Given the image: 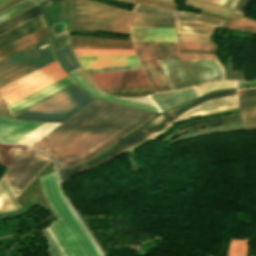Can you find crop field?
Returning <instances> with one entry per match:
<instances>
[{"mask_svg":"<svg viewBox=\"0 0 256 256\" xmlns=\"http://www.w3.org/2000/svg\"><path fill=\"white\" fill-rule=\"evenodd\" d=\"M136 5V4H135ZM134 11L174 16L175 11L137 4Z\"/></svg>","mask_w":256,"mask_h":256,"instance_id":"e1f06a70","label":"crop field"},{"mask_svg":"<svg viewBox=\"0 0 256 256\" xmlns=\"http://www.w3.org/2000/svg\"><path fill=\"white\" fill-rule=\"evenodd\" d=\"M17 0H0V9L15 2Z\"/></svg>","mask_w":256,"mask_h":256,"instance_id":"d23c7cc5","label":"crop field"},{"mask_svg":"<svg viewBox=\"0 0 256 256\" xmlns=\"http://www.w3.org/2000/svg\"><path fill=\"white\" fill-rule=\"evenodd\" d=\"M151 117L97 100L32 146L51 155L61 169L91 158Z\"/></svg>","mask_w":256,"mask_h":256,"instance_id":"8a807250","label":"crop field"},{"mask_svg":"<svg viewBox=\"0 0 256 256\" xmlns=\"http://www.w3.org/2000/svg\"><path fill=\"white\" fill-rule=\"evenodd\" d=\"M202 1H206V2H208V0H202Z\"/></svg>","mask_w":256,"mask_h":256,"instance_id":"9d1cf04e","label":"crop field"},{"mask_svg":"<svg viewBox=\"0 0 256 256\" xmlns=\"http://www.w3.org/2000/svg\"><path fill=\"white\" fill-rule=\"evenodd\" d=\"M176 17L205 21V22H212V23H218V24H222V22H223L222 20H218V19H214V18L202 16V15H197V14L179 12V11H177Z\"/></svg>","mask_w":256,"mask_h":256,"instance_id":"b80d0937","label":"crop field"},{"mask_svg":"<svg viewBox=\"0 0 256 256\" xmlns=\"http://www.w3.org/2000/svg\"><path fill=\"white\" fill-rule=\"evenodd\" d=\"M21 208L12 191L4 180L0 179V213L15 211Z\"/></svg>","mask_w":256,"mask_h":256,"instance_id":"4177f3b9","label":"crop field"},{"mask_svg":"<svg viewBox=\"0 0 256 256\" xmlns=\"http://www.w3.org/2000/svg\"><path fill=\"white\" fill-rule=\"evenodd\" d=\"M142 69L140 65L135 66H123V67H112V68H101V69H89L85 70L87 73H94V72H108V71H122V70H136Z\"/></svg>","mask_w":256,"mask_h":256,"instance_id":"c035e120","label":"crop field"},{"mask_svg":"<svg viewBox=\"0 0 256 256\" xmlns=\"http://www.w3.org/2000/svg\"><path fill=\"white\" fill-rule=\"evenodd\" d=\"M238 1H239V0H236V1L234 2V4L231 6L232 9H234V7H235L236 4L238 3Z\"/></svg>","mask_w":256,"mask_h":256,"instance_id":"dbb93151","label":"crop field"},{"mask_svg":"<svg viewBox=\"0 0 256 256\" xmlns=\"http://www.w3.org/2000/svg\"><path fill=\"white\" fill-rule=\"evenodd\" d=\"M174 17L133 12L129 25L174 27Z\"/></svg>","mask_w":256,"mask_h":256,"instance_id":"dafd665d","label":"crop field"},{"mask_svg":"<svg viewBox=\"0 0 256 256\" xmlns=\"http://www.w3.org/2000/svg\"><path fill=\"white\" fill-rule=\"evenodd\" d=\"M56 51H57L58 57H59L62 65L64 66L66 71L69 72V71L79 67L72 52L69 49V45L61 47V48L57 49Z\"/></svg>","mask_w":256,"mask_h":256,"instance_id":"750c4746","label":"crop field"},{"mask_svg":"<svg viewBox=\"0 0 256 256\" xmlns=\"http://www.w3.org/2000/svg\"><path fill=\"white\" fill-rule=\"evenodd\" d=\"M46 27H43L3 48L0 49V59L48 36Z\"/></svg>","mask_w":256,"mask_h":256,"instance_id":"a9b5d70f","label":"crop field"},{"mask_svg":"<svg viewBox=\"0 0 256 256\" xmlns=\"http://www.w3.org/2000/svg\"><path fill=\"white\" fill-rule=\"evenodd\" d=\"M231 119H235V120L226 121V122H219V121H225V120H231ZM213 122H219V123L208 124V123H213ZM232 122H241V116H240V117L226 118V119H220V120H214V121H208V122H203V123L194 124V125L188 126V127H186V128H183V129H181V130H179V131L173 133L172 135H175V134H177V133H179V132H181V131H183V130H185V129L192 128V127L199 126V125H203V124H208V125H204V126H201V127H198V128H194V129H191V130H189V131L196 130V129H199V128H204V127H209V126H215V125H221V124H226V123H232ZM189 131H186V132H189ZM186 132H183V133H186ZM183 133H181V134H183ZM172 135H171V136H172ZM178 135H180V134H178ZM178 135H176V136H178ZM171 136H170V137H171ZM176 136H173V137H171V138L168 137V138H166V139L170 140V139H172V138H174V137H176ZM166 139H164V140H166ZM164 140H162V142H163Z\"/></svg>","mask_w":256,"mask_h":256,"instance_id":"120bbe31","label":"crop field"},{"mask_svg":"<svg viewBox=\"0 0 256 256\" xmlns=\"http://www.w3.org/2000/svg\"><path fill=\"white\" fill-rule=\"evenodd\" d=\"M179 40L211 41V36L177 34Z\"/></svg>","mask_w":256,"mask_h":256,"instance_id":"c21b1889","label":"crop field"},{"mask_svg":"<svg viewBox=\"0 0 256 256\" xmlns=\"http://www.w3.org/2000/svg\"><path fill=\"white\" fill-rule=\"evenodd\" d=\"M249 1L250 0H240L233 12L242 15V13Z\"/></svg>","mask_w":256,"mask_h":256,"instance_id":"b54c1fbb","label":"crop field"},{"mask_svg":"<svg viewBox=\"0 0 256 256\" xmlns=\"http://www.w3.org/2000/svg\"><path fill=\"white\" fill-rule=\"evenodd\" d=\"M187 1L193 7L197 8L199 10L214 13V14H218V15H222V16H226V17H228L229 13L232 11L230 9L210 5V4L199 2V1H196V0H187Z\"/></svg>","mask_w":256,"mask_h":256,"instance_id":"1d83c4d3","label":"crop field"},{"mask_svg":"<svg viewBox=\"0 0 256 256\" xmlns=\"http://www.w3.org/2000/svg\"><path fill=\"white\" fill-rule=\"evenodd\" d=\"M25 149L19 146L0 145V156L6 151L0 164L9 168Z\"/></svg>","mask_w":256,"mask_h":256,"instance_id":"ae1a2a85","label":"crop field"},{"mask_svg":"<svg viewBox=\"0 0 256 256\" xmlns=\"http://www.w3.org/2000/svg\"><path fill=\"white\" fill-rule=\"evenodd\" d=\"M155 91L171 90L158 61H140Z\"/></svg>","mask_w":256,"mask_h":256,"instance_id":"00972430","label":"crop field"},{"mask_svg":"<svg viewBox=\"0 0 256 256\" xmlns=\"http://www.w3.org/2000/svg\"><path fill=\"white\" fill-rule=\"evenodd\" d=\"M132 40L177 42L174 28L130 26Z\"/></svg>","mask_w":256,"mask_h":256,"instance_id":"5142ce71","label":"crop field"},{"mask_svg":"<svg viewBox=\"0 0 256 256\" xmlns=\"http://www.w3.org/2000/svg\"><path fill=\"white\" fill-rule=\"evenodd\" d=\"M120 1H124V2H128V3H134L135 0H120Z\"/></svg>","mask_w":256,"mask_h":256,"instance_id":"1f2cbd36","label":"crop field"},{"mask_svg":"<svg viewBox=\"0 0 256 256\" xmlns=\"http://www.w3.org/2000/svg\"><path fill=\"white\" fill-rule=\"evenodd\" d=\"M46 43L48 46L39 50V47ZM55 59L50 38L47 37L1 60L0 87Z\"/></svg>","mask_w":256,"mask_h":256,"instance_id":"e52e79f7","label":"crop field"},{"mask_svg":"<svg viewBox=\"0 0 256 256\" xmlns=\"http://www.w3.org/2000/svg\"><path fill=\"white\" fill-rule=\"evenodd\" d=\"M38 1L41 3V2H43V1H45V0H38Z\"/></svg>","mask_w":256,"mask_h":256,"instance_id":"1d79db26","label":"crop field"},{"mask_svg":"<svg viewBox=\"0 0 256 256\" xmlns=\"http://www.w3.org/2000/svg\"><path fill=\"white\" fill-rule=\"evenodd\" d=\"M57 1H59V0H47V1L43 2V3H41V4H42L43 8H45V7L55 3Z\"/></svg>","mask_w":256,"mask_h":256,"instance_id":"25e5ab78","label":"crop field"},{"mask_svg":"<svg viewBox=\"0 0 256 256\" xmlns=\"http://www.w3.org/2000/svg\"><path fill=\"white\" fill-rule=\"evenodd\" d=\"M39 179L46 199L58 218L46 229L62 254L64 256H101L62 196L55 174L50 173Z\"/></svg>","mask_w":256,"mask_h":256,"instance_id":"ac0d7876","label":"crop field"},{"mask_svg":"<svg viewBox=\"0 0 256 256\" xmlns=\"http://www.w3.org/2000/svg\"><path fill=\"white\" fill-rule=\"evenodd\" d=\"M42 123L13 120L0 116V142L15 143Z\"/></svg>","mask_w":256,"mask_h":256,"instance_id":"22f410ed","label":"crop field"},{"mask_svg":"<svg viewBox=\"0 0 256 256\" xmlns=\"http://www.w3.org/2000/svg\"><path fill=\"white\" fill-rule=\"evenodd\" d=\"M246 240H231L228 256H245L247 248Z\"/></svg>","mask_w":256,"mask_h":256,"instance_id":"d32e631a","label":"crop field"},{"mask_svg":"<svg viewBox=\"0 0 256 256\" xmlns=\"http://www.w3.org/2000/svg\"><path fill=\"white\" fill-rule=\"evenodd\" d=\"M227 2V0H221V2L219 3V5L224 6V4ZM226 5V4H225Z\"/></svg>","mask_w":256,"mask_h":256,"instance_id":"89e229c0","label":"crop field"},{"mask_svg":"<svg viewBox=\"0 0 256 256\" xmlns=\"http://www.w3.org/2000/svg\"><path fill=\"white\" fill-rule=\"evenodd\" d=\"M180 48L215 50L211 42L179 41Z\"/></svg>","mask_w":256,"mask_h":256,"instance_id":"0bd39190","label":"crop field"},{"mask_svg":"<svg viewBox=\"0 0 256 256\" xmlns=\"http://www.w3.org/2000/svg\"><path fill=\"white\" fill-rule=\"evenodd\" d=\"M59 125L58 123H44L40 127H38L36 130L31 132L29 135L24 137L22 140H20L18 143L20 144H27L31 145L33 144L38 138H40L42 135L53 129Z\"/></svg>","mask_w":256,"mask_h":256,"instance_id":"bd1437ed","label":"crop field"},{"mask_svg":"<svg viewBox=\"0 0 256 256\" xmlns=\"http://www.w3.org/2000/svg\"><path fill=\"white\" fill-rule=\"evenodd\" d=\"M49 162L48 157L37 150L24 151L3 175L16 198Z\"/></svg>","mask_w":256,"mask_h":256,"instance_id":"5a996713","label":"crop field"},{"mask_svg":"<svg viewBox=\"0 0 256 256\" xmlns=\"http://www.w3.org/2000/svg\"><path fill=\"white\" fill-rule=\"evenodd\" d=\"M172 90L223 79L217 59L159 60Z\"/></svg>","mask_w":256,"mask_h":256,"instance_id":"412701ff","label":"crop field"},{"mask_svg":"<svg viewBox=\"0 0 256 256\" xmlns=\"http://www.w3.org/2000/svg\"><path fill=\"white\" fill-rule=\"evenodd\" d=\"M37 5L36 2L32 0H22L2 11H0V23Z\"/></svg>","mask_w":256,"mask_h":256,"instance_id":"eef30255","label":"crop field"},{"mask_svg":"<svg viewBox=\"0 0 256 256\" xmlns=\"http://www.w3.org/2000/svg\"><path fill=\"white\" fill-rule=\"evenodd\" d=\"M161 1H164V2H168V3L174 4V2H173L172 0H161Z\"/></svg>","mask_w":256,"mask_h":256,"instance_id":"0fb4a251","label":"crop field"},{"mask_svg":"<svg viewBox=\"0 0 256 256\" xmlns=\"http://www.w3.org/2000/svg\"><path fill=\"white\" fill-rule=\"evenodd\" d=\"M209 2H211V3H214V4L218 5V3L220 2V0H209Z\"/></svg>","mask_w":256,"mask_h":256,"instance_id":"73cf0c24","label":"crop field"},{"mask_svg":"<svg viewBox=\"0 0 256 256\" xmlns=\"http://www.w3.org/2000/svg\"><path fill=\"white\" fill-rule=\"evenodd\" d=\"M69 26L128 32L127 24L70 12Z\"/></svg>","mask_w":256,"mask_h":256,"instance_id":"cbeb9de0","label":"crop field"},{"mask_svg":"<svg viewBox=\"0 0 256 256\" xmlns=\"http://www.w3.org/2000/svg\"><path fill=\"white\" fill-rule=\"evenodd\" d=\"M45 26L43 15H40L2 35H0V48Z\"/></svg>","mask_w":256,"mask_h":256,"instance_id":"bc2a9ffb","label":"crop field"},{"mask_svg":"<svg viewBox=\"0 0 256 256\" xmlns=\"http://www.w3.org/2000/svg\"><path fill=\"white\" fill-rule=\"evenodd\" d=\"M83 69L139 64L136 56L77 57Z\"/></svg>","mask_w":256,"mask_h":256,"instance_id":"733c2abd","label":"crop field"},{"mask_svg":"<svg viewBox=\"0 0 256 256\" xmlns=\"http://www.w3.org/2000/svg\"><path fill=\"white\" fill-rule=\"evenodd\" d=\"M177 33L211 35L214 27L218 24L198 22L176 18Z\"/></svg>","mask_w":256,"mask_h":256,"instance_id":"214f88e0","label":"crop field"},{"mask_svg":"<svg viewBox=\"0 0 256 256\" xmlns=\"http://www.w3.org/2000/svg\"><path fill=\"white\" fill-rule=\"evenodd\" d=\"M73 86H75V84H73V85H71V86H69V87H67V88H65V89H63V90H61V91H59V92H57V93H55V94H53V95L47 97V98H45V99H43V100H41V101H39V102H37V103H35V104H33V105L27 107V108H25V109H23V110H21V111H19V112H17V113H15V114H13V116H15V115H17V114H19V113H21V112H23V111H25V110H27V109L33 107V106H35V105H37V104H39V103H41V102H43V101H45V100H47V99H49V98H51V97H53V96H55V95L61 93V92L65 91V90H67V89H69V88H71V87H73Z\"/></svg>","mask_w":256,"mask_h":256,"instance_id":"5d738f31","label":"crop field"},{"mask_svg":"<svg viewBox=\"0 0 256 256\" xmlns=\"http://www.w3.org/2000/svg\"><path fill=\"white\" fill-rule=\"evenodd\" d=\"M235 93H236V89L213 92L211 94L199 97L185 105H182L178 108H175L173 110H170L166 113L159 115L158 117L153 119L151 122H149L142 128L138 129L131 135H129L121 143L119 142L120 144L118 143L119 145H117L115 148H113L107 154H105L91 162H88L86 164L75 167L73 169L59 171L62 183H64L70 176L87 171V170L97 166L98 164L106 161L107 159L113 157L114 155L122 152L123 150H125V149L135 145L136 143L148 138L149 136L161 131L168 124H170L174 119H176L180 114H182L184 111H186L204 101L232 95Z\"/></svg>","mask_w":256,"mask_h":256,"instance_id":"34b2d1b8","label":"crop field"},{"mask_svg":"<svg viewBox=\"0 0 256 256\" xmlns=\"http://www.w3.org/2000/svg\"><path fill=\"white\" fill-rule=\"evenodd\" d=\"M71 84H73V81L68 76V77H66V78H64V79L50 85V86H48V87H46V88H44V89H42V90H40L36 93L24 98V99L12 104L10 106H8V108H9L10 112L13 114V113H15V112L31 105V104L37 102V101H39V100H41V99H43V98H45V97H47L51 94L63 89V88L71 85Z\"/></svg>","mask_w":256,"mask_h":256,"instance_id":"4a817a6b","label":"crop field"},{"mask_svg":"<svg viewBox=\"0 0 256 256\" xmlns=\"http://www.w3.org/2000/svg\"><path fill=\"white\" fill-rule=\"evenodd\" d=\"M70 11L123 22L130 13L87 0H71Z\"/></svg>","mask_w":256,"mask_h":256,"instance_id":"d1516ede","label":"crop field"},{"mask_svg":"<svg viewBox=\"0 0 256 256\" xmlns=\"http://www.w3.org/2000/svg\"><path fill=\"white\" fill-rule=\"evenodd\" d=\"M103 89L151 86L143 70L89 74Z\"/></svg>","mask_w":256,"mask_h":256,"instance_id":"28ad6ade","label":"crop field"},{"mask_svg":"<svg viewBox=\"0 0 256 256\" xmlns=\"http://www.w3.org/2000/svg\"><path fill=\"white\" fill-rule=\"evenodd\" d=\"M233 99H236V100H233ZM228 100H233V101H228ZM224 101H228V102H224ZM219 102H224V103H220V104H216V105H212V106H208V107H204L200 110H197V111H194V112H191L197 108H200V107H203V106H206V105H210V104H214V103H219ZM233 107H237V96H231V97H227V98H223V99H219V100H215V101H211V102H207V103H204L188 112H186L185 116H181L182 118H180L179 120L176 121L177 122H180V121H183V120H186V119H189V118H192V117H195V116H198V115H202V114H207V113H211V112H216V111H221V110H225V109H229V108H233Z\"/></svg>","mask_w":256,"mask_h":256,"instance_id":"92a150f3","label":"crop field"},{"mask_svg":"<svg viewBox=\"0 0 256 256\" xmlns=\"http://www.w3.org/2000/svg\"><path fill=\"white\" fill-rule=\"evenodd\" d=\"M243 129L256 128V88L238 91Z\"/></svg>","mask_w":256,"mask_h":256,"instance_id":"d9b57169","label":"crop field"},{"mask_svg":"<svg viewBox=\"0 0 256 256\" xmlns=\"http://www.w3.org/2000/svg\"><path fill=\"white\" fill-rule=\"evenodd\" d=\"M66 76L68 75L61 69L57 61H54L0 88V92L8 106Z\"/></svg>","mask_w":256,"mask_h":256,"instance_id":"d8731c3e","label":"crop field"},{"mask_svg":"<svg viewBox=\"0 0 256 256\" xmlns=\"http://www.w3.org/2000/svg\"><path fill=\"white\" fill-rule=\"evenodd\" d=\"M53 40H54V44H55L56 49L65 45V44H67V43H69L68 37H67V32L58 36V37H56V38H54Z\"/></svg>","mask_w":256,"mask_h":256,"instance_id":"03da06ac","label":"crop field"},{"mask_svg":"<svg viewBox=\"0 0 256 256\" xmlns=\"http://www.w3.org/2000/svg\"><path fill=\"white\" fill-rule=\"evenodd\" d=\"M93 100L75 86L14 118L63 122Z\"/></svg>","mask_w":256,"mask_h":256,"instance_id":"dd49c442","label":"crop field"},{"mask_svg":"<svg viewBox=\"0 0 256 256\" xmlns=\"http://www.w3.org/2000/svg\"><path fill=\"white\" fill-rule=\"evenodd\" d=\"M76 56L135 55L133 50L73 49Z\"/></svg>","mask_w":256,"mask_h":256,"instance_id":"d3111659","label":"crop field"},{"mask_svg":"<svg viewBox=\"0 0 256 256\" xmlns=\"http://www.w3.org/2000/svg\"><path fill=\"white\" fill-rule=\"evenodd\" d=\"M76 71L89 84V86L92 89L96 90L97 92L107 94V93L101 91L97 87V85L90 79V77L83 71V69L81 67L76 69ZM76 71L74 70V71L70 72V74L73 76V78L81 85V87L87 93H89L91 95H94L98 98H102V99L122 103V104H125V105L137 107V108L152 111V112H161L162 110L165 111V110H167L171 107H174V106H176L180 103H183V102H185L189 99H192V98L198 96V94L194 91V89L192 87L182 89V90H178V91L161 92V93L150 95V97L156 102V104L159 105L162 108V110H161L160 108L150 107V106H154V107H158V106L154 103V101L149 96L140 97V98H122V99L130 100V101L150 105V106H147V105L138 104V103H134V102L119 99L121 97L115 98V97H111L112 95L107 96V95L99 94V93L93 91L87 85V83L78 75V73Z\"/></svg>","mask_w":256,"mask_h":256,"instance_id":"f4fd0767","label":"crop field"},{"mask_svg":"<svg viewBox=\"0 0 256 256\" xmlns=\"http://www.w3.org/2000/svg\"><path fill=\"white\" fill-rule=\"evenodd\" d=\"M230 86H235V82L220 81V82H213V83L203 84V85H199V86H194L193 88L196 90V92L198 94H200L205 91L211 90L213 88L230 87ZM220 89H224V88H220ZM213 90H215V89H213ZM208 92H210V91H208ZM205 93H207V92H205Z\"/></svg>","mask_w":256,"mask_h":256,"instance_id":"5866460e","label":"crop field"},{"mask_svg":"<svg viewBox=\"0 0 256 256\" xmlns=\"http://www.w3.org/2000/svg\"><path fill=\"white\" fill-rule=\"evenodd\" d=\"M238 87L256 85V82H237Z\"/></svg>","mask_w":256,"mask_h":256,"instance_id":"425ffa30","label":"crop field"},{"mask_svg":"<svg viewBox=\"0 0 256 256\" xmlns=\"http://www.w3.org/2000/svg\"><path fill=\"white\" fill-rule=\"evenodd\" d=\"M139 60L215 58V55L178 53L177 43L132 41Z\"/></svg>","mask_w":256,"mask_h":256,"instance_id":"3316defc","label":"crop field"},{"mask_svg":"<svg viewBox=\"0 0 256 256\" xmlns=\"http://www.w3.org/2000/svg\"><path fill=\"white\" fill-rule=\"evenodd\" d=\"M0 99H1V97H0Z\"/></svg>","mask_w":256,"mask_h":256,"instance_id":"447ae74e","label":"crop field"},{"mask_svg":"<svg viewBox=\"0 0 256 256\" xmlns=\"http://www.w3.org/2000/svg\"><path fill=\"white\" fill-rule=\"evenodd\" d=\"M106 92L117 94V95H123V96H138L142 94L152 93L154 91L152 87H145V88L121 89V90H109Z\"/></svg>","mask_w":256,"mask_h":256,"instance_id":"028f5c9d","label":"crop field"},{"mask_svg":"<svg viewBox=\"0 0 256 256\" xmlns=\"http://www.w3.org/2000/svg\"><path fill=\"white\" fill-rule=\"evenodd\" d=\"M42 14L39 5L0 24V34Z\"/></svg>","mask_w":256,"mask_h":256,"instance_id":"730fd06b","label":"crop field"}]
</instances>
